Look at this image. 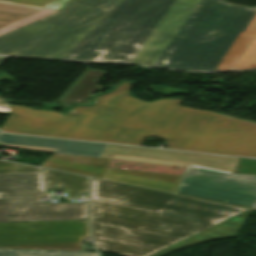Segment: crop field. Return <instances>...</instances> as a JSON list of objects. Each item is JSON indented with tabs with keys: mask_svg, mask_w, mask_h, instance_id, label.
Returning a JSON list of instances; mask_svg holds the SVG:
<instances>
[{
	"mask_svg": "<svg viewBox=\"0 0 256 256\" xmlns=\"http://www.w3.org/2000/svg\"><path fill=\"white\" fill-rule=\"evenodd\" d=\"M46 190L67 189L68 198L87 193L88 178L43 170Z\"/></svg>",
	"mask_w": 256,
	"mask_h": 256,
	"instance_id": "11",
	"label": "crop field"
},
{
	"mask_svg": "<svg viewBox=\"0 0 256 256\" xmlns=\"http://www.w3.org/2000/svg\"><path fill=\"white\" fill-rule=\"evenodd\" d=\"M0 55L182 70L256 68V7L221 0H69L0 35Z\"/></svg>",
	"mask_w": 256,
	"mask_h": 256,
	"instance_id": "1",
	"label": "crop field"
},
{
	"mask_svg": "<svg viewBox=\"0 0 256 256\" xmlns=\"http://www.w3.org/2000/svg\"><path fill=\"white\" fill-rule=\"evenodd\" d=\"M68 0H55L43 7L42 9L58 11Z\"/></svg>",
	"mask_w": 256,
	"mask_h": 256,
	"instance_id": "16",
	"label": "crop field"
},
{
	"mask_svg": "<svg viewBox=\"0 0 256 256\" xmlns=\"http://www.w3.org/2000/svg\"><path fill=\"white\" fill-rule=\"evenodd\" d=\"M0 144L6 147L50 151L61 154L94 156L182 167L190 165L230 173L233 172L239 159L110 144L34 138L8 135L1 132Z\"/></svg>",
	"mask_w": 256,
	"mask_h": 256,
	"instance_id": "4",
	"label": "crop field"
},
{
	"mask_svg": "<svg viewBox=\"0 0 256 256\" xmlns=\"http://www.w3.org/2000/svg\"><path fill=\"white\" fill-rule=\"evenodd\" d=\"M87 220L0 224V249L83 251Z\"/></svg>",
	"mask_w": 256,
	"mask_h": 256,
	"instance_id": "6",
	"label": "crop field"
},
{
	"mask_svg": "<svg viewBox=\"0 0 256 256\" xmlns=\"http://www.w3.org/2000/svg\"><path fill=\"white\" fill-rule=\"evenodd\" d=\"M0 256H97L91 252L0 250Z\"/></svg>",
	"mask_w": 256,
	"mask_h": 256,
	"instance_id": "13",
	"label": "crop field"
},
{
	"mask_svg": "<svg viewBox=\"0 0 256 256\" xmlns=\"http://www.w3.org/2000/svg\"><path fill=\"white\" fill-rule=\"evenodd\" d=\"M187 167L177 193L239 206L256 207V176Z\"/></svg>",
	"mask_w": 256,
	"mask_h": 256,
	"instance_id": "7",
	"label": "crop field"
},
{
	"mask_svg": "<svg viewBox=\"0 0 256 256\" xmlns=\"http://www.w3.org/2000/svg\"><path fill=\"white\" fill-rule=\"evenodd\" d=\"M251 210L92 179L97 249L164 256L207 240L237 237Z\"/></svg>",
	"mask_w": 256,
	"mask_h": 256,
	"instance_id": "3",
	"label": "crop field"
},
{
	"mask_svg": "<svg viewBox=\"0 0 256 256\" xmlns=\"http://www.w3.org/2000/svg\"><path fill=\"white\" fill-rule=\"evenodd\" d=\"M182 176L109 168L104 179L174 193Z\"/></svg>",
	"mask_w": 256,
	"mask_h": 256,
	"instance_id": "8",
	"label": "crop field"
},
{
	"mask_svg": "<svg viewBox=\"0 0 256 256\" xmlns=\"http://www.w3.org/2000/svg\"><path fill=\"white\" fill-rule=\"evenodd\" d=\"M40 171L39 168L0 161V172Z\"/></svg>",
	"mask_w": 256,
	"mask_h": 256,
	"instance_id": "15",
	"label": "crop field"
},
{
	"mask_svg": "<svg viewBox=\"0 0 256 256\" xmlns=\"http://www.w3.org/2000/svg\"><path fill=\"white\" fill-rule=\"evenodd\" d=\"M0 112H10L7 101L0 98Z\"/></svg>",
	"mask_w": 256,
	"mask_h": 256,
	"instance_id": "19",
	"label": "crop field"
},
{
	"mask_svg": "<svg viewBox=\"0 0 256 256\" xmlns=\"http://www.w3.org/2000/svg\"><path fill=\"white\" fill-rule=\"evenodd\" d=\"M6 58H8V57H0V64ZM1 73H2V75L0 76V81L10 80V81L16 82V80L13 77H11L10 75H8L7 73H5V72H1Z\"/></svg>",
	"mask_w": 256,
	"mask_h": 256,
	"instance_id": "17",
	"label": "crop field"
},
{
	"mask_svg": "<svg viewBox=\"0 0 256 256\" xmlns=\"http://www.w3.org/2000/svg\"><path fill=\"white\" fill-rule=\"evenodd\" d=\"M111 161L55 154L40 166L103 179Z\"/></svg>",
	"mask_w": 256,
	"mask_h": 256,
	"instance_id": "9",
	"label": "crop field"
},
{
	"mask_svg": "<svg viewBox=\"0 0 256 256\" xmlns=\"http://www.w3.org/2000/svg\"><path fill=\"white\" fill-rule=\"evenodd\" d=\"M40 172L0 173V223L87 219V202L44 203Z\"/></svg>",
	"mask_w": 256,
	"mask_h": 256,
	"instance_id": "5",
	"label": "crop field"
},
{
	"mask_svg": "<svg viewBox=\"0 0 256 256\" xmlns=\"http://www.w3.org/2000/svg\"><path fill=\"white\" fill-rule=\"evenodd\" d=\"M53 0H0V28Z\"/></svg>",
	"mask_w": 256,
	"mask_h": 256,
	"instance_id": "12",
	"label": "crop field"
},
{
	"mask_svg": "<svg viewBox=\"0 0 256 256\" xmlns=\"http://www.w3.org/2000/svg\"><path fill=\"white\" fill-rule=\"evenodd\" d=\"M52 13H54V11L38 9V10H36V11H34V12H32V13H30V14H28V15H26V16H24V17H22V18H20L16 21L8 24L7 26L1 28L0 29V34H3L7 31L15 29L19 26H22V25L27 24L29 22H32L34 20L40 19V18L45 17L47 15H50Z\"/></svg>",
	"mask_w": 256,
	"mask_h": 256,
	"instance_id": "14",
	"label": "crop field"
},
{
	"mask_svg": "<svg viewBox=\"0 0 256 256\" xmlns=\"http://www.w3.org/2000/svg\"><path fill=\"white\" fill-rule=\"evenodd\" d=\"M189 91L187 90H180V89H174V88H169L166 87L164 93H168V94H183V93H188Z\"/></svg>",
	"mask_w": 256,
	"mask_h": 256,
	"instance_id": "18",
	"label": "crop field"
},
{
	"mask_svg": "<svg viewBox=\"0 0 256 256\" xmlns=\"http://www.w3.org/2000/svg\"><path fill=\"white\" fill-rule=\"evenodd\" d=\"M132 83L73 107L65 116L10 106L0 130L141 146L148 136L164 138L167 148L256 158V123L180 106L182 99L144 103L132 97Z\"/></svg>",
	"mask_w": 256,
	"mask_h": 256,
	"instance_id": "2",
	"label": "crop field"
},
{
	"mask_svg": "<svg viewBox=\"0 0 256 256\" xmlns=\"http://www.w3.org/2000/svg\"><path fill=\"white\" fill-rule=\"evenodd\" d=\"M106 72L87 69L80 78L60 97L59 103L64 108L72 104H90L88 98L96 91L100 93L108 87L101 89L97 83L106 75ZM111 87V86H110ZM96 93V94H97Z\"/></svg>",
	"mask_w": 256,
	"mask_h": 256,
	"instance_id": "10",
	"label": "crop field"
}]
</instances>
